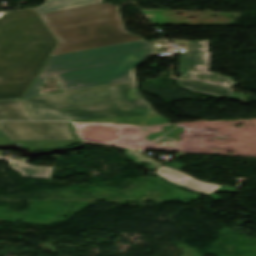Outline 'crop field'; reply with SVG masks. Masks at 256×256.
Masks as SVG:
<instances>
[{
  "label": "crop field",
  "instance_id": "8a807250",
  "mask_svg": "<svg viewBox=\"0 0 256 256\" xmlns=\"http://www.w3.org/2000/svg\"><path fill=\"white\" fill-rule=\"evenodd\" d=\"M33 120L118 122L134 125L169 123L141 96L137 82L72 93L22 99Z\"/></svg>",
  "mask_w": 256,
  "mask_h": 256
},
{
  "label": "crop field",
  "instance_id": "ac0d7876",
  "mask_svg": "<svg viewBox=\"0 0 256 256\" xmlns=\"http://www.w3.org/2000/svg\"><path fill=\"white\" fill-rule=\"evenodd\" d=\"M155 51L142 40L49 58L24 98L39 95L45 78L56 77L63 91L137 81L133 69Z\"/></svg>",
  "mask_w": 256,
  "mask_h": 256
},
{
  "label": "crop field",
  "instance_id": "34b2d1b8",
  "mask_svg": "<svg viewBox=\"0 0 256 256\" xmlns=\"http://www.w3.org/2000/svg\"><path fill=\"white\" fill-rule=\"evenodd\" d=\"M56 43L33 8L0 18V99L23 98Z\"/></svg>",
  "mask_w": 256,
  "mask_h": 256
},
{
  "label": "crop field",
  "instance_id": "412701ff",
  "mask_svg": "<svg viewBox=\"0 0 256 256\" xmlns=\"http://www.w3.org/2000/svg\"><path fill=\"white\" fill-rule=\"evenodd\" d=\"M40 17L58 41L50 56L142 40L126 32L119 7L108 3Z\"/></svg>",
  "mask_w": 256,
  "mask_h": 256
},
{
  "label": "crop field",
  "instance_id": "f4fd0767",
  "mask_svg": "<svg viewBox=\"0 0 256 256\" xmlns=\"http://www.w3.org/2000/svg\"><path fill=\"white\" fill-rule=\"evenodd\" d=\"M0 130L30 151L81 142L70 122H0Z\"/></svg>",
  "mask_w": 256,
  "mask_h": 256
},
{
  "label": "crop field",
  "instance_id": "dd49c442",
  "mask_svg": "<svg viewBox=\"0 0 256 256\" xmlns=\"http://www.w3.org/2000/svg\"><path fill=\"white\" fill-rule=\"evenodd\" d=\"M210 52L208 41L189 42L188 53H181L179 73L181 78L195 79L233 87L238 82L208 71Z\"/></svg>",
  "mask_w": 256,
  "mask_h": 256
},
{
  "label": "crop field",
  "instance_id": "e52e79f7",
  "mask_svg": "<svg viewBox=\"0 0 256 256\" xmlns=\"http://www.w3.org/2000/svg\"><path fill=\"white\" fill-rule=\"evenodd\" d=\"M177 81L179 85L185 86L194 92L211 94L219 97L223 95L240 98V99H243L245 97L244 94L231 92L232 89L226 88V87H221V86H216V85L201 83V82H195V81H187V80H177Z\"/></svg>",
  "mask_w": 256,
  "mask_h": 256
},
{
  "label": "crop field",
  "instance_id": "d8731c3e",
  "mask_svg": "<svg viewBox=\"0 0 256 256\" xmlns=\"http://www.w3.org/2000/svg\"><path fill=\"white\" fill-rule=\"evenodd\" d=\"M0 120H32L20 100L0 101Z\"/></svg>",
  "mask_w": 256,
  "mask_h": 256
},
{
  "label": "crop field",
  "instance_id": "5a996713",
  "mask_svg": "<svg viewBox=\"0 0 256 256\" xmlns=\"http://www.w3.org/2000/svg\"><path fill=\"white\" fill-rule=\"evenodd\" d=\"M100 2H104V0H46L43 5L35 8V10L38 14H42Z\"/></svg>",
  "mask_w": 256,
  "mask_h": 256
},
{
  "label": "crop field",
  "instance_id": "3316defc",
  "mask_svg": "<svg viewBox=\"0 0 256 256\" xmlns=\"http://www.w3.org/2000/svg\"><path fill=\"white\" fill-rule=\"evenodd\" d=\"M0 159L9 161L13 169L21 172L23 176H28V177L49 179L53 169L49 167L31 166L25 162L11 160V159H5V158H0Z\"/></svg>",
  "mask_w": 256,
  "mask_h": 256
},
{
  "label": "crop field",
  "instance_id": "28ad6ade",
  "mask_svg": "<svg viewBox=\"0 0 256 256\" xmlns=\"http://www.w3.org/2000/svg\"><path fill=\"white\" fill-rule=\"evenodd\" d=\"M182 130L183 128L175 125L165 126L163 127L162 132L151 133L145 138L150 141L158 142L165 146L174 147L180 139L178 135L181 133Z\"/></svg>",
  "mask_w": 256,
  "mask_h": 256
},
{
  "label": "crop field",
  "instance_id": "d1516ede",
  "mask_svg": "<svg viewBox=\"0 0 256 256\" xmlns=\"http://www.w3.org/2000/svg\"><path fill=\"white\" fill-rule=\"evenodd\" d=\"M179 186L201 194H210L220 187L215 184L202 183L190 176L179 183Z\"/></svg>",
  "mask_w": 256,
  "mask_h": 256
},
{
  "label": "crop field",
  "instance_id": "22f410ed",
  "mask_svg": "<svg viewBox=\"0 0 256 256\" xmlns=\"http://www.w3.org/2000/svg\"><path fill=\"white\" fill-rule=\"evenodd\" d=\"M155 174L165 178V180L169 183L172 184H178L179 182H181L185 177H187L186 175L179 173L177 171H174L170 168H167L165 166L161 167L160 169H158L157 171H155Z\"/></svg>",
  "mask_w": 256,
  "mask_h": 256
},
{
  "label": "crop field",
  "instance_id": "cbeb9de0",
  "mask_svg": "<svg viewBox=\"0 0 256 256\" xmlns=\"http://www.w3.org/2000/svg\"><path fill=\"white\" fill-rule=\"evenodd\" d=\"M126 155H128L140 162H148L154 168H157L160 166V164L152 161L151 159H149L148 157H146L145 155H143L142 153L137 152V151L128 150V151H126Z\"/></svg>",
  "mask_w": 256,
  "mask_h": 256
},
{
  "label": "crop field",
  "instance_id": "5142ce71",
  "mask_svg": "<svg viewBox=\"0 0 256 256\" xmlns=\"http://www.w3.org/2000/svg\"><path fill=\"white\" fill-rule=\"evenodd\" d=\"M236 188L234 187H221L215 192H235Z\"/></svg>",
  "mask_w": 256,
  "mask_h": 256
},
{
  "label": "crop field",
  "instance_id": "d9b57169",
  "mask_svg": "<svg viewBox=\"0 0 256 256\" xmlns=\"http://www.w3.org/2000/svg\"><path fill=\"white\" fill-rule=\"evenodd\" d=\"M12 143L1 131H0V144Z\"/></svg>",
  "mask_w": 256,
  "mask_h": 256
},
{
  "label": "crop field",
  "instance_id": "733c2abd",
  "mask_svg": "<svg viewBox=\"0 0 256 256\" xmlns=\"http://www.w3.org/2000/svg\"><path fill=\"white\" fill-rule=\"evenodd\" d=\"M168 166H170V167H172V168H174V169H176V170H180V169H182L185 165H182V164H178V163L173 162V163L169 164Z\"/></svg>",
  "mask_w": 256,
  "mask_h": 256
},
{
  "label": "crop field",
  "instance_id": "4a817a6b",
  "mask_svg": "<svg viewBox=\"0 0 256 256\" xmlns=\"http://www.w3.org/2000/svg\"><path fill=\"white\" fill-rule=\"evenodd\" d=\"M209 197H211L212 199L218 201V200H221V198H219L217 195H215L214 193L211 194V195H208Z\"/></svg>",
  "mask_w": 256,
  "mask_h": 256
}]
</instances>
